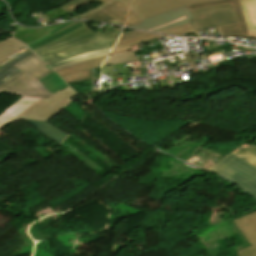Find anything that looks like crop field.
Returning a JSON list of instances; mask_svg holds the SVG:
<instances>
[{"label":"crop field","mask_w":256,"mask_h":256,"mask_svg":"<svg viewBox=\"0 0 256 256\" xmlns=\"http://www.w3.org/2000/svg\"><path fill=\"white\" fill-rule=\"evenodd\" d=\"M122 29L97 35L84 27L34 52L51 65L85 53L113 47Z\"/></svg>","instance_id":"crop-field-1"},{"label":"crop field","mask_w":256,"mask_h":256,"mask_svg":"<svg viewBox=\"0 0 256 256\" xmlns=\"http://www.w3.org/2000/svg\"><path fill=\"white\" fill-rule=\"evenodd\" d=\"M77 95L68 85L48 99L22 97L0 113V129L21 119H41L48 121L53 115L68 105Z\"/></svg>","instance_id":"crop-field-2"},{"label":"crop field","mask_w":256,"mask_h":256,"mask_svg":"<svg viewBox=\"0 0 256 256\" xmlns=\"http://www.w3.org/2000/svg\"><path fill=\"white\" fill-rule=\"evenodd\" d=\"M23 71L0 86V92L19 96L48 98L52 94L46 92L38 80L53 72L35 54L15 64Z\"/></svg>","instance_id":"crop-field-3"},{"label":"crop field","mask_w":256,"mask_h":256,"mask_svg":"<svg viewBox=\"0 0 256 256\" xmlns=\"http://www.w3.org/2000/svg\"><path fill=\"white\" fill-rule=\"evenodd\" d=\"M233 3L239 24L218 27L223 37L256 36V0H219L188 6L189 11L201 7Z\"/></svg>","instance_id":"crop-field-4"},{"label":"crop field","mask_w":256,"mask_h":256,"mask_svg":"<svg viewBox=\"0 0 256 256\" xmlns=\"http://www.w3.org/2000/svg\"><path fill=\"white\" fill-rule=\"evenodd\" d=\"M211 170L232 180L256 198L255 166L231 154Z\"/></svg>","instance_id":"crop-field-5"},{"label":"crop field","mask_w":256,"mask_h":256,"mask_svg":"<svg viewBox=\"0 0 256 256\" xmlns=\"http://www.w3.org/2000/svg\"><path fill=\"white\" fill-rule=\"evenodd\" d=\"M191 13L195 29L238 23L232 4L206 7Z\"/></svg>","instance_id":"crop-field-6"},{"label":"crop field","mask_w":256,"mask_h":256,"mask_svg":"<svg viewBox=\"0 0 256 256\" xmlns=\"http://www.w3.org/2000/svg\"><path fill=\"white\" fill-rule=\"evenodd\" d=\"M213 0H134L130 11L140 20L170 11L181 6L203 3Z\"/></svg>","instance_id":"crop-field-7"},{"label":"crop field","mask_w":256,"mask_h":256,"mask_svg":"<svg viewBox=\"0 0 256 256\" xmlns=\"http://www.w3.org/2000/svg\"><path fill=\"white\" fill-rule=\"evenodd\" d=\"M184 15H186L187 19H185L183 21H180V22H177V23H174V24L164 26L162 28H159V29H156V30L152 31V32H156V31H160V30H163V29L178 26V25H181V24L189 23L188 20L191 19L192 17H191L190 13L187 11V9L185 7H181L179 9H176V10H173V11H170V12H167V13H163V14L154 16L152 18L143 20L142 21L143 23L133 25V26H129V27L148 30V29L160 26V25H164V24H166V23H168L172 20H175L177 18H180Z\"/></svg>","instance_id":"crop-field-8"},{"label":"crop field","mask_w":256,"mask_h":256,"mask_svg":"<svg viewBox=\"0 0 256 256\" xmlns=\"http://www.w3.org/2000/svg\"><path fill=\"white\" fill-rule=\"evenodd\" d=\"M232 221L251 245L238 251L239 256H256V211Z\"/></svg>","instance_id":"crop-field-9"},{"label":"crop field","mask_w":256,"mask_h":256,"mask_svg":"<svg viewBox=\"0 0 256 256\" xmlns=\"http://www.w3.org/2000/svg\"><path fill=\"white\" fill-rule=\"evenodd\" d=\"M72 23H74V22L65 23V24L61 25L60 27L54 29L50 33L42 36L41 38H39V39H37V40L27 44V45L29 46V48L32 51H34V50H36V49H38V48H40V47H42V46H44V45H46L48 43H51V42H53V41H55V40L65 36V35L70 34V33H72V32H74V31H76V30H78V29H80V28L85 26L84 23L81 22V23H79L77 25H74L72 27H69V28H67L65 30H62L60 32H57V33L51 35L52 33H54V32H56V31H58V30H60V29H62L64 27H66V26H68V25H70Z\"/></svg>","instance_id":"crop-field-10"},{"label":"crop field","mask_w":256,"mask_h":256,"mask_svg":"<svg viewBox=\"0 0 256 256\" xmlns=\"http://www.w3.org/2000/svg\"><path fill=\"white\" fill-rule=\"evenodd\" d=\"M24 121L32 125L35 129H37L44 136L51 139V141H53L56 144L61 143L63 139L67 135H69L49 122L33 121V120H24Z\"/></svg>","instance_id":"crop-field-11"},{"label":"crop field","mask_w":256,"mask_h":256,"mask_svg":"<svg viewBox=\"0 0 256 256\" xmlns=\"http://www.w3.org/2000/svg\"><path fill=\"white\" fill-rule=\"evenodd\" d=\"M59 25H61V24H59ZM59 25H52V26L39 28V29H25V28L19 29V30L14 31V37L19 39L24 44H27V43L41 37L42 35L51 31L52 29H54L55 27H57Z\"/></svg>","instance_id":"crop-field-12"},{"label":"crop field","mask_w":256,"mask_h":256,"mask_svg":"<svg viewBox=\"0 0 256 256\" xmlns=\"http://www.w3.org/2000/svg\"><path fill=\"white\" fill-rule=\"evenodd\" d=\"M25 48L27 47L12 37L0 42V62Z\"/></svg>","instance_id":"crop-field-13"},{"label":"crop field","mask_w":256,"mask_h":256,"mask_svg":"<svg viewBox=\"0 0 256 256\" xmlns=\"http://www.w3.org/2000/svg\"><path fill=\"white\" fill-rule=\"evenodd\" d=\"M39 81L41 85L45 88V90L52 94L66 85V83L63 82L62 79L55 72L47 75Z\"/></svg>","instance_id":"crop-field-14"},{"label":"crop field","mask_w":256,"mask_h":256,"mask_svg":"<svg viewBox=\"0 0 256 256\" xmlns=\"http://www.w3.org/2000/svg\"><path fill=\"white\" fill-rule=\"evenodd\" d=\"M32 54H34V53H32L30 51L27 54L17 58L16 60L6 64L5 66L1 67L0 68V85L21 71L15 67H13L12 66L13 64L23 60L24 58H26Z\"/></svg>","instance_id":"crop-field-15"},{"label":"crop field","mask_w":256,"mask_h":256,"mask_svg":"<svg viewBox=\"0 0 256 256\" xmlns=\"http://www.w3.org/2000/svg\"><path fill=\"white\" fill-rule=\"evenodd\" d=\"M104 58H99L84 64H80V65H76V66H72L60 71H57V73L60 76H64V75H69V74H73V73H77V72H81V71H85V70H89V69H93V68H98L100 67L101 63L103 62Z\"/></svg>","instance_id":"crop-field-16"},{"label":"crop field","mask_w":256,"mask_h":256,"mask_svg":"<svg viewBox=\"0 0 256 256\" xmlns=\"http://www.w3.org/2000/svg\"><path fill=\"white\" fill-rule=\"evenodd\" d=\"M162 36H164V35L153 34V35L146 36L143 38L135 39V40L128 41L125 43H121V44H117V45H115V47L113 48V50L111 51L110 54L113 55V54H117L120 52L128 51L131 49L130 46H132V45L140 44V43H143V42H146V41L158 38V37H162Z\"/></svg>","instance_id":"crop-field-17"},{"label":"crop field","mask_w":256,"mask_h":256,"mask_svg":"<svg viewBox=\"0 0 256 256\" xmlns=\"http://www.w3.org/2000/svg\"><path fill=\"white\" fill-rule=\"evenodd\" d=\"M233 154L241 157L242 159L256 166V146H250V145L244 144Z\"/></svg>","instance_id":"crop-field-18"},{"label":"crop field","mask_w":256,"mask_h":256,"mask_svg":"<svg viewBox=\"0 0 256 256\" xmlns=\"http://www.w3.org/2000/svg\"><path fill=\"white\" fill-rule=\"evenodd\" d=\"M137 61L135 54L133 53V50L124 52L121 54L108 56V58L105 60L103 65H109V64H117L122 62H135Z\"/></svg>","instance_id":"crop-field-19"},{"label":"crop field","mask_w":256,"mask_h":256,"mask_svg":"<svg viewBox=\"0 0 256 256\" xmlns=\"http://www.w3.org/2000/svg\"><path fill=\"white\" fill-rule=\"evenodd\" d=\"M103 10L115 16L116 18L120 19L121 21L125 22L128 8H126L124 5H122L120 2L117 1L103 8Z\"/></svg>","instance_id":"crop-field-20"},{"label":"crop field","mask_w":256,"mask_h":256,"mask_svg":"<svg viewBox=\"0 0 256 256\" xmlns=\"http://www.w3.org/2000/svg\"><path fill=\"white\" fill-rule=\"evenodd\" d=\"M83 19L105 21V22L122 25V26H124V24H125V23L121 22L120 20L114 18L113 16L109 15L108 13L104 12L102 9L83 17Z\"/></svg>","instance_id":"crop-field-21"},{"label":"crop field","mask_w":256,"mask_h":256,"mask_svg":"<svg viewBox=\"0 0 256 256\" xmlns=\"http://www.w3.org/2000/svg\"><path fill=\"white\" fill-rule=\"evenodd\" d=\"M160 32L161 33H166V34H173V35L196 33L190 23L182 25V26L174 27V28H171V29H167V30H164V31H160Z\"/></svg>","instance_id":"crop-field-22"},{"label":"crop field","mask_w":256,"mask_h":256,"mask_svg":"<svg viewBox=\"0 0 256 256\" xmlns=\"http://www.w3.org/2000/svg\"><path fill=\"white\" fill-rule=\"evenodd\" d=\"M13 149L9 147L7 144H5L2 140H0V162L18 153Z\"/></svg>","instance_id":"crop-field-23"},{"label":"crop field","mask_w":256,"mask_h":256,"mask_svg":"<svg viewBox=\"0 0 256 256\" xmlns=\"http://www.w3.org/2000/svg\"><path fill=\"white\" fill-rule=\"evenodd\" d=\"M110 50H111V48L110 49H106V50H102V51H97V52L89 53V54H86V55H82V56H79V57H76V58H72V59H69V60H66V61H62V62L56 63L54 65H51V67L54 68V67H57V66L69 63V62H73V61L79 60V59H83V58L99 55V54H102V53H105V52H109Z\"/></svg>","instance_id":"crop-field-24"},{"label":"crop field","mask_w":256,"mask_h":256,"mask_svg":"<svg viewBox=\"0 0 256 256\" xmlns=\"http://www.w3.org/2000/svg\"><path fill=\"white\" fill-rule=\"evenodd\" d=\"M146 35H150V34L143 33V32H138V31H132V32L124 33V34L121 35V37H120V39L117 43L132 40V39L139 38V37L146 36Z\"/></svg>","instance_id":"crop-field-25"},{"label":"crop field","mask_w":256,"mask_h":256,"mask_svg":"<svg viewBox=\"0 0 256 256\" xmlns=\"http://www.w3.org/2000/svg\"><path fill=\"white\" fill-rule=\"evenodd\" d=\"M107 54L108 53L102 54V55H99V56H95V57H91V58H87V59H83V60H79V61H76V62H73V63H70V64H66V65L54 68V70L57 71V70H60V69H63V68H66V67H69V66H72V65L84 63V62H87V61H90V60H93V59H96V58H99V57L107 56Z\"/></svg>","instance_id":"crop-field-26"},{"label":"crop field","mask_w":256,"mask_h":256,"mask_svg":"<svg viewBox=\"0 0 256 256\" xmlns=\"http://www.w3.org/2000/svg\"><path fill=\"white\" fill-rule=\"evenodd\" d=\"M94 1H96V0H83V1L78 2V3H76L72 6L67 7L65 10L68 11L69 13H71L74 10H76L77 8H80V7H82L86 4H89V3L94 2Z\"/></svg>","instance_id":"crop-field-27"},{"label":"crop field","mask_w":256,"mask_h":256,"mask_svg":"<svg viewBox=\"0 0 256 256\" xmlns=\"http://www.w3.org/2000/svg\"><path fill=\"white\" fill-rule=\"evenodd\" d=\"M137 23H141V21L132 12L129 11L126 21V27Z\"/></svg>","instance_id":"crop-field-28"},{"label":"crop field","mask_w":256,"mask_h":256,"mask_svg":"<svg viewBox=\"0 0 256 256\" xmlns=\"http://www.w3.org/2000/svg\"><path fill=\"white\" fill-rule=\"evenodd\" d=\"M28 51H30V50L27 48V49H25V50H23V51H21V52L15 54L14 56H12V57L6 59V60L3 61L2 63H0V67L3 66V65H5V64L8 63L9 61H11V60H13V59L19 57L20 55H22V54L28 52Z\"/></svg>","instance_id":"crop-field-29"},{"label":"crop field","mask_w":256,"mask_h":256,"mask_svg":"<svg viewBox=\"0 0 256 256\" xmlns=\"http://www.w3.org/2000/svg\"><path fill=\"white\" fill-rule=\"evenodd\" d=\"M114 1H116V0H106L105 2H103V3H105V4H110V3H112V2H114ZM118 1H120L122 4H124L126 7H129V5H130V3H131V1L132 0H118Z\"/></svg>","instance_id":"crop-field-30"},{"label":"crop field","mask_w":256,"mask_h":256,"mask_svg":"<svg viewBox=\"0 0 256 256\" xmlns=\"http://www.w3.org/2000/svg\"><path fill=\"white\" fill-rule=\"evenodd\" d=\"M185 18H186V17L180 18V19L175 20V21H173V22H171V23H174V22L180 21V20L185 19ZM169 24H170V23H169ZM160 27H161V26H160ZM157 28H159V27H157ZM154 29H156V28H154ZM151 30H153V29H151ZM151 30H148V31H151Z\"/></svg>","instance_id":"crop-field-31"},{"label":"crop field","mask_w":256,"mask_h":256,"mask_svg":"<svg viewBox=\"0 0 256 256\" xmlns=\"http://www.w3.org/2000/svg\"><path fill=\"white\" fill-rule=\"evenodd\" d=\"M99 1H101V2H102V1H104V0H99Z\"/></svg>","instance_id":"crop-field-32"},{"label":"crop field","mask_w":256,"mask_h":256,"mask_svg":"<svg viewBox=\"0 0 256 256\" xmlns=\"http://www.w3.org/2000/svg\"><path fill=\"white\" fill-rule=\"evenodd\" d=\"M77 23H79V22H77ZM77 23H75V24H77ZM74 25V24H73ZM72 26V25H71Z\"/></svg>","instance_id":"crop-field-33"}]
</instances>
